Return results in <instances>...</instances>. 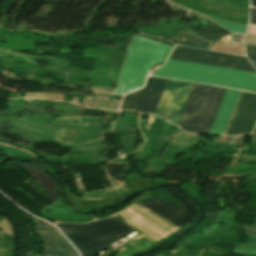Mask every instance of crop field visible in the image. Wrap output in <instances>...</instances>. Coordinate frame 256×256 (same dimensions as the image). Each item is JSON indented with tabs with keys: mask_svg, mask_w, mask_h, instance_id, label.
Wrapping results in <instances>:
<instances>
[{
	"mask_svg": "<svg viewBox=\"0 0 256 256\" xmlns=\"http://www.w3.org/2000/svg\"><path fill=\"white\" fill-rule=\"evenodd\" d=\"M179 45L208 49V47L211 45V42L191 37L183 42H180Z\"/></svg>",
	"mask_w": 256,
	"mask_h": 256,
	"instance_id": "obj_19",
	"label": "crop field"
},
{
	"mask_svg": "<svg viewBox=\"0 0 256 256\" xmlns=\"http://www.w3.org/2000/svg\"><path fill=\"white\" fill-rule=\"evenodd\" d=\"M251 140H256V133H253V134H252Z\"/></svg>",
	"mask_w": 256,
	"mask_h": 256,
	"instance_id": "obj_29",
	"label": "crop field"
},
{
	"mask_svg": "<svg viewBox=\"0 0 256 256\" xmlns=\"http://www.w3.org/2000/svg\"><path fill=\"white\" fill-rule=\"evenodd\" d=\"M192 84L169 79L155 115L177 123Z\"/></svg>",
	"mask_w": 256,
	"mask_h": 256,
	"instance_id": "obj_9",
	"label": "crop field"
},
{
	"mask_svg": "<svg viewBox=\"0 0 256 256\" xmlns=\"http://www.w3.org/2000/svg\"><path fill=\"white\" fill-rule=\"evenodd\" d=\"M111 217L135 228L156 241L180 229L135 204Z\"/></svg>",
	"mask_w": 256,
	"mask_h": 256,
	"instance_id": "obj_5",
	"label": "crop field"
},
{
	"mask_svg": "<svg viewBox=\"0 0 256 256\" xmlns=\"http://www.w3.org/2000/svg\"><path fill=\"white\" fill-rule=\"evenodd\" d=\"M12 252V236L0 232V256H10Z\"/></svg>",
	"mask_w": 256,
	"mask_h": 256,
	"instance_id": "obj_17",
	"label": "crop field"
},
{
	"mask_svg": "<svg viewBox=\"0 0 256 256\" xmlns=\"http://www.w3.org/2000/svg\"><path fill=\"white\" fill-rule=\"evenodd\" d=\"M205 16H207V15H205ZM207 17L217 21L222 26H224L227 29H229L231 31H234V32H238V33L244 34V32L246 30V27H247L246 25H242V24H238V23L222 20V19H219V18H215V17H211V16H207Z\"/></svg>",
	"mask_w": 256,
	"mask_h": 256,
	"instance_id": "obj_18",
	"label": "crop field"
},
{
	"mask_svg": "<svg viewBox=\"0 0 256 256\" xmlns=\"http://www.w3.org/2000/svg\"><path fill=\"white\" fill-rule=\"evenodd\" d=\"M241 91L226 89L208 134H223Z\"/></svg>",
	"mask_w": 256,
	"mask_h": 256,
	"instance_id": "obj_13",
	"label": "crop field"
},
{
	"mask_svg": "<svg viewBox=\"0 0 256 256\" xmlns=\"http://www.w3.org/2000/svg\"><path fill=\"white\" fill-rule=\"evenodd\" d=\"M224 90L194 83L178 126L192 134H207Z\"/></svg>",
	"mask_w": 256,
	"mask_h": 256,
	"instance_id": "obj_4",
	"label": "crop field"
},
{
	"mask_svg": "<svg viewBox=\"0 0 256 256\" xmlns=\"http://www.w3.org/2000/svg\"><path fill=\"white\" fill-rule=\"evenodd\" d=\"M248 14L249 0H198Z\"/></svg>",
	"mask_w": 256,
	"mask_h": 256,
	"instance_id": "obj_15",
	"label": "crop field"
},
{
	"mask_svg": "<svg viewBox=\"0 0 256 256\" xmlns=\"http://www.w3.org/2000/svg\"><path fill=\"white\" fill-rule=\"evenodd\" d=\"M228 34L229 32L225 28L214 23L194 37H198L211 42H217Z\"/></svg>",
	"mask_w": 256,
	"mask_h": 256,
	"instance_id": "obj_14",
	"label": "crop field"
},
{
	"mask_svg": "<svg viewBox=\"0 0 256 256\" xmlns=\"http://www.w3.org/2000/svg\"><path fill=\"white\" fill-rule=\"evenodd\" d=\"M174 47L133 36L114 94H123L143 87L148 71L166 60Z\"/></svg>",
	"mask_w": 256,
	"mask_h": 256,
	"instance_id": "obj_2",
	"label": "crop field"
},
{
	"mask_svg": "<svg viewBox=\"0 0 256 256\" xmlns=\"http://www.w3.org/2000/svg\"><path fill=\"white\" fill-rule=\"evenodd\" d=\"M248 234H256V226H244Z\"/></svg>",
	"mask_w": 256,
	"mask_h": 256,
	"instance_id": "obj_24",
	"label": "crop field"
},
{
	"mask_svg": "<svg viewBox=\"0 0 256 256\" xmlns=\"http://www.w3.org/2000/svg\"><path fill=\"white\" fill-rule=\"evenodd\" d=\"M247 243L256 244V236H249Z\"/></svg>",
	"mask_w": 256,
	"mask_h": 256,
	"instance_id": "obj_27",
	"label": "crop field"
},
{
	"mask_svg": "<svg viewBox=\"0 0 256 256\" xmlns=\"http://www.w3.org/2000/svg\"><path fill=\"white\" fill-rule=\"evenodd\" d=\"M168 1L178 4L182 7H185L195 12L212 15L215 17L231 20V21L246 24V25L248 24L247 14L235 12L232 10L220 8L217 6L201 3L194 0H168Z\"/></svg>",
	"mask_w": 256,
	"mask_h": 256,
	"instance_id": "obj_12",
	"label": "crop field"
},
{
	"mask_svg": "<svg viewBox=\"0 0 256 256\" xmlns=\"http://www.w3.org/2000/svg\"><path fill=\"white\" fill-rule=\"evenodd\" d=\"M4 216H2L1 214H0V220L3 218Z\"/></svg>",
	"mask_w": 256,
	"mask_h": 256,
	"instance_id": "obj_33",
	"label": "crop field"
},
{
	"mask_svg": "<svg viewBox=\"0 0 256 256\" xmlns=\"http://www.w3.org/2000/svg\"><path fill=\"white\" fill-rule=\"evenodd\" d=\"M169 58L256 72L245 57L190 47L177 46Z\"/></svg>",
	"mask_w": 256,
	"mask_h": 256,
	"instance_id": "obj_7",
	"label": "crop field"
},
{
	"mask_svg": "<svg viewBox=\"0 0 256 256\" xmlns=\"http://www.w3.org/2000/svg\"><path fill=\"white\" fill-rule=\"evenodd\" d=\"M252 24H256V9L251 8V22Z\"/></svg>",
	"mask_w": 256,
	"mask_h": 256,
	"instance_id": "obj_25",
	"label": "crop field"
},
{
	"mask_svg": "<svg viewBox=\"0 0 256 256\" xmlns=\"http://www.w3.org/2000/svg\"><path fill=\"white\" fill-rule=\"evenodd\" d=\"M56 225L75 243L82 256H96L110 242L134 230L110 217L89 224Z\"/></svg>",
	"mask_w": 256,
	"mask_h": 256,
	"instance_id": "obj_3",
	"label": "crop field"
},
{
	"mask_svg": "<svg viewBox=\"0 0 256 256\" xmlns=\"http://www.w3.org/2000/svg\"><path fill=\"white\" fill-rule=\"evenodd\" d=\"M0 148L4 150V152L7 153V155L9 156H19V157H28V156H32L26 152L17 150V149H13V148H9V147H5V146H1Z\"/></svg>",
	"mask_w": 256,
	"mask_h": 256,
	"instance_id": "obj_20",
	"label": "crop field"
},
{
	"mask_svg": "<svg viewBox=\"0 0 256 256\" xmlns=\"http://www.w3.org/2000/svg\"><path fill=\"white\" fill-rule=\"evenodd\" d=\"M33 221L34 228L44 243L43 255L36 256H77L74 249L53 227L34 218Z\"/></svg>",
	"mask_w": 256,
	"mask_h": 256,
	"instance_id": "obj_11",
	"label": "crop field"
},
{
	"mask_svg": "<svg viewBox=\"0 0 256 256\" xmlns=\"http://www.w3.org/2000/svg\"><path fill=\"white\" fill-rule=\"evenodd\" d=\"M247 33L256 35V25L250 24Z\"/></svg>",
	"mask_w": 256,
	"mask_h": 256,
	"instance_id": "obj_26",
	"label": "crop field"
},
{
	"mask_svg": "<svg viewBox=\"0 0 256 256\" xmlns=\"http://www.w3.org/2000/svg\"><path fill=\"white\" fill-rule=\"evenodd\" d=\"M245 48L248 59L256 60V47L245 45Z\"/></svg>",
	"mask_w": 256,
	"mask_h": 256,
	"instance_id": "obj_21",
	"label": "crop field"
},
{
	"mask_svg": "<svg viewBox=\"0 0 256 256\" xmlns=\"http://www.w3.org/2000/svg\"><path fill=\"white\" fill-rule=\"evenodd\" d=\"M251 5L256 7V0H251Z\"/></svg>",
	"mask_w": 256,
	"mask_h": 256,
	"instance_id": "obj_28",
	"label": "crop field"
},
{
	"mask_svg": "<svg viewBox=\"0 0 256 256\" xmlns=\"http://www.w3.org/2000/svg\"><path fill=\"white\" fill-rule=\"evenodd\" d=\"M153 76L256 91V73L167 59Z\"/></svg>",
	"mask_w": 256,
	"mask_h": 256,
	"instance_id": "obj_1",
	"label": "crop field"
},
{
	"mask_svg": "<svg viewBox=\"0 0 256 256\" xmlns=\"http://www.w3.org/2000/svg\"><path fill=\"white\" fill-rule=\"evenodd\" d=\"M245 44L256 46V36L247 34L245 37Z\"/></svg>",
	"mask_w": 256,
	"mask_h": 256,
	"instance_id": "obj_22",
	"label": "crop field"
},
{
	"mask_svg": "<svg viewBox=\"0 0 256 256\" xmlns=\"http://www.w3.org/2000/svg\"><path fill=\"white\" fill-rule=\"evenodd\" d=\"M251 61V60H250ZM253 65L256 67V61H251Z\"/></svg>",
	"mask_w": 256,
	"mask_h": 256,
	"instance_id": "obj_32",
	"label": "crop field"
},
{
	"mask_svg": "<svg viewBox=\"0 0 256 256\" xmlns=\"http://www.w3.org/2000/svg\"><path fill=\"white\" fill-rule=\"evenodd\" d=\"M253 132H256V127L254 128V131Z\"/></svg>",
	"mask_w": 256,
	"mask_h": 256,
	"instance_id": "obj_34",
	"label": "crop field"
},
{
	"mask_svg": "<svg viewBox=\"0 0 256 256\" xmlns=\"http://www.w3.org/2000/svg\"><path fill=\"white\" fill-rule=\"evenodd\" d=\"M237 251V250H234ZM237 252H248V253H256V252H249V251H237Z\"/></svg>",
	"mask_w": 256,
	"mask_h": 256,
	"instance_id": "obj_30",
	"label": "crop field"
},
{
	"mask_svg": "<svg viewBox=\"0 0 256 256\" xmlns=\"http://www.w3.org/2000/svg\"><path fill=\"white\" fill-rule=\"evenodd\" d=\"M256 142V141H255Z\"/></svg>",
	"mask_w": 256,
	"mask_h": 256,
	"instance_id": "obj_36",
	"label": "crop field"
},
{
	"mask_svg": "<svg viewBox=\"0 0 256 256\" xmlns=\"http://www.w3.org/2000/svg\"><path fill=\"white\" fill-rule=\"evenodd\" d=\"M165 189L184 207L181 208L173 204L163 202L159 199H148L146 201L137 202L135 204L149 210L150 212L166 219L167 221L179 227L187 225L196 216V207L181 194H179L178 190L170 187H166Z\"/></svg>",
	"mask_w": 256,
	"mask_h": 256,
	"instance_id": "obj_6",
	"label": "crop field"
},
{
	"mask_svg": "<svg viewBox=\"0 0 256 256\" xmlns=\"http://www.w3.org/2000/svg\"><path fill=\"white\" fill-rule=\"evenodd\" d=\"M254 224H256V218H255V222H254Z\"/></svg>",
	"mask_w": 256,
	"mask_h": 256,
	"instance_id": "obj_35",
	"label": "crop field"
},
{
	"mask_svg": "<svg viewBox=\"0 0 256 256\" xmlns=\"http://www.w3.org/2000/svg\"><path fill=\"white\" fill-rule=\"evenodd\" d=\"M243 146H256V144H246V145H243Z\"/></svg>",
	"mask_w": 256,
	"mask_h": 256,
	"instance_id": "obj_31",
	"label": "crop field"
},
{
	"mask_svg": "<svg viewBox=\"0 0 256 256\" xmlns=\"http://www.w3.org/2000/svg\"><path fill=\"white\" fill-rule=\"evenodd\" d=\"M235 248L256 251L255 246H246V245L236 244Z\"/></svg>",
	"mask_w": 256,
	"mask_h": 256,
	"instance_id": "obj_23",
	"label": "crop field"
},
{
	"mask_svg": "<svg viewBox=\"0 0 256 256\" xmlns=\"http://www.w3.org/2000/svg\"><path fill=\"white\" fill-rule=\"evenodd\" d=\"M256 119V93L242 91L225 135L250 133Z\"/></svg>",
	"mask_w": 256,
	"mask_h": 256,
	"instance_id": "obj_10",
	"label": "crop field"
},
{
	"mask_svg": "<svg viewBox=\"0 0 256 256\" xmlns=\"http://www.w3.org/2000/svg\"><path fill=\"white\" fill-rule=\"evenodd\" d=\"M249 210H256V177L244 180Z\"/></svg>",
	"mask_w": 256,
	"mask_h": 256,
	"instance_id": "obj_16",
	"label": "crop field"
},
{
	"mask_svg": "<svg viewBox=\"0 0 256 256\" xmlns=\"http://www.w3.org/2000/svg\"><path fill=\"white\" fill-rule=\"evenodd\" d=\"M167 80L149 77L145 88L125 96L120 110L128 109L154 115Z\"/></svg>",
	"mask_w": 256,
	"mask_h": 256,
	"instance_id": "obj_8",
	"label": "crop field"
}]
</instances>
